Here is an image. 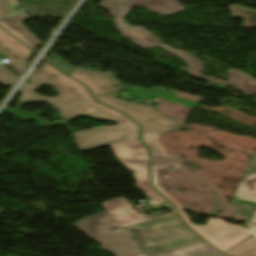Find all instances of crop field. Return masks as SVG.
<instances>
[{"instance_id":"crop-field-1","label":"crop field","mask_w":256,"mask_h":256,"mask_svg":"<svg viewBox=\"0 0 256 256\" xmlns=\"http://www.w3.org/2000/svg\"><path fill=\"white\" fill-rule=\"evenodd\" d=\"M32 83H24L20 103L47 102L59 110L67 121L84 116L93 120H114L120 124L100 126L74 133L75 142L83 151L138 139L137 124L120 112L96 102L88 89L81 83L61 74L47 62L36 69L28 78ZM43 85L58 93L56 99L42 97L32 90Z\"/></svg>"},{"instance_id":"crop-field-2","label":"crop field","mask_w":256,"mask_h":256,"mask_svg":"<svg viewBox=\"0 0 256 256\" xmlns=\"http://www.w3.org/2000/svg\"><path fill=\"white\" fill-rule=\"evenodd\" d=\"M127 232L142 251L151 256L205 241L191 231L178 214L128 228Z\"/></svg>"},{"instance_id":"crop-field-3","label":"crop field","mask_w":256,"mask_h":256,"mask_svg":"<svg viewBox=\"0 0 256 256\" xmlns=\"http://www.w3.org/2000/svg\"><path fill=\"white\" fill-rule=\"evenodd\" d=\"M119 31L141 48L162 46L169 52L178 55L181 59H183L186 63L190 65L189 70L185 72L193 75L195 78L209 81L208 84L213 87L224 89L226 86L231 84L246 95L256 93V80H254L253 77L249 74L238 71L236 69L227 70L229 74V83L212 78L203 77L200 76L198 73L204 70V63L200 62L199 60L193 58L192 56L188 55L187 53L181 50H173L165 45H162L160 40L146 29L142 27H127Z\"/></svg>"},{"instance_id":"crop-field-4","label":"crop field","mask_w":256,"mask_h":256,"mask_svg":"<svg viewBox=\"0 0 256 256\" xmlns=\"http://www.w3.org/2000/svg\"><path fill=\"white\" fill-rule=\"evenodd\" d=\"M87 235L97 240L115 256H139L141 253L135 247L121 226L107 213L88 217L75 224Z\"/></svg>"},{"instance_id":"crop-field-5","label":"crop field","mask_w":256,"mask_h":256,"mask_svg":"<svg viewBox=\"0 0 256 256\" xmlns=\"http://www.w3.org/2000/svg\"><path fill=\"white\" fill-rule=\"evenodd\" d=\"M119 161L130 169L136 180L137 186L144 191L152 200L150 205L155 206L166 203L173 211L174 207L160 196L149 183L148 176V153L139 140L113 145Z\"/></svg>"},{"instance_id":"crop-field-6","label":"crop field","mask_w":256,"mask_h":256,"mask_svg":"<svg viewBox=\"0 0 256 256\" xmlns=\"http://www.w3.org/2000/svg\"><path fill=\"white\" fill-rule=\"evenodd\" d=\"M95 98L119 111L126 113L142 126L143 133H145L144 131H147L149 134L164 135L185 127L161 115L159 112L149 106L121 101L117 99L113 93H108Z\"/></svg>"},{"instance_id":"crop-field-7","label":"crop field","mask_w":256,"mask_h":256,"mask_svg":"<svg viewBox=\"0 0 256 256\" xmlns=\"http://www.w3.org/2000/svg\"><path fill=\"white\" fill-rule=\"evenodd\" d=\"M185 221L197 231L203 238L212 243L218 249L227 251L232 246L252 235L243 226L228 224L223 219L209 218L205 226L193 225L184 211L180 212Z\"/></svg>"},{"instance_id":"crop-field-8","label":"crop field","mask_w":256,"mask_h":256,"mask_svg":"<svg viewBox=\"0 0 256 256\" xmlns=\"http://www.w3.org/2000/svg\"><path fill=\"white\" fill-rule=\"evenodd\" d=\"M142 5L154 12L166 15L185 10L176 0H102L100 6L107 9L115 17L114 24L119 29L127 27L124 17L129 14L132 6Z\"/></svg>"},{"instance_id":"crop-field-9","label":"crop field","mask_w":256,"mask_h":256,"mask_svg":"<svg viewBox=\"0 0 256 256\" xmlns=\"http://www.w3.org/2000/svg\"><path fill=\"white\" fill-rule=\"evenodd\" d=\"M256 256V239L252 235L224 254L208 243L181 249L160 256Z\"/></svg>"},{"instance_id":"crop-field-10","label":"crop field","mask_w":256,"mask_h":256,"mask_svg":"<svg viewBox=\"0 0 256 256\" xmlns=\"http://www.w3.org/2000/svg\"><path fill=\"white\" fill-rule=\"evenodd\" d=\"M142 137L143 141L152 152L151 172L152 182L155 188L157 189L158 192L165 195L177 207L178 210H181L182 207L179 205V203L157 186L155 179V167H179L181 164L182 157L167 155L164 148L161 146L159 142L158 135L143 134Z\"/></svg>"},{"instance_id":"crop-field-11","label":"crop field","mask_w":256,"mask_h":256,"mask_svg":"<svg viewBox=\"0 0 256 256\" xmlns=\"http://www.w3.org/2000/svg\"><path fill=\"white\" fill-rule=\"evenodd\" d=\"M0 53L9 58L6 63L17 75L26 69L30 49L0 28Z\"/></svg>"},{"instance_id":"crop-field-12","label":"crop field","mask_w":256,"mask_h":256,"mask_svg":"<svg viewBox=\"0 0 256 256\" xmlns=\"http://www.w3.org/2000/svg\"><path fill=\"white\" fill-rule=\"evenodd\" d=\"M102 206L122 228L147 220L143 216L136 214L123 197L106 201Z\"/></svg>"},{"instance_id":"crop-field-13","label":"crop field","mask_w":256,"mask_h":256,"mask_svg":"<svg viewBox=\"0 0 256 256\" xmlns=\"http://www.w3.org/2000/svg\"><path fill=\"white\" fill-rule=\"evenodd\" d=\"M29 18H31L29 15L23 13L1 19L0 25L34 50L42 43L21 23Z\"/></svg>"},{"instance_id":"crop-field-14","label":"crop field","mask_w":256,"mask_h":256,"mask_svg":"<svg viewBox=\"0 0 256 256\" xmlns=\"http://www.w3.org/2000/svg\"><path fill=\"white\" fill-rule=\"evenodd\" d=\"M252 160L256 161V155L252 156ZM238 196L251 198L250 202L256 203V174H248L246 179L241 181L233 198L237 199ZM245 225L256 237V223H245Z\"/></svg>"},{"instance_id":"crop-field-15","label":"crop field","mask_w":256,"mask_h":256,"mask_svg":"<svg viewBox=\"0 0 256 256\" xmlns=\"http://www.w3.org/2000/svg\"><path fill=\"white\" fill-rule=\"evenodd\" d=\"M230 11H232V18L241 17L245 19L242 28H256V10L240 5H232Z\"/></svg>"},{"instance_id":"crop-field-16","label":"crop field","mask_w":256,"mask_h":256,"mask_svg":"<svg viewBox=\"0 0 256 256\" xmlns=\"http://www.w3.org/2000/svg\"><path fill=\"white\" fill-rule=\"evenodd\" d=\"M6 112L12 114L13 116L25 121L27 119H31L33 121H35L40 127H52V126H56V125H60L58 123H48L46 121L41 120L38 116L46 114L43 111H36L34 113H26L24 111L18 110V109H11L6 107L5 110Z\"/></svg>"},{"instance_id":"crop-field-17","label":"crop field","mask_w":256,"mask_h":256,"mask_svg":"<svg viewBox=\"0 0 256 256\" xmlns=\"http://www.w3.org/2000/svg\"><path fill=\"white\" fill-rule=\"evenodd\" d=\"M112 86H115V87H112ZM89 89H91L93 91L94 96L105 94V93L109 92L110 90L121 91L120 86L118 85L117 81L114 79H109L100 84L92 86Z\"/></svg>"},{"instance_id":"crop-field-18","label":"crop field","mask_w":256,"mask_h":256,"mask_svg":"<svg viewBox=\"0 0 256 256\" xmlns=\"http://www.w3.org/2000/svg\"><path fill=\"white\" fill-rule=\"evenodd\" d=\"M49 62H51L54 66H56L59 70H61L63 73L71 76V74L74 72L75 67L65 63L60 58H58L56 55L52 53V55L47 58Z\"/></svg>"},{"instance_id":"crop-field-19","label":"crop field","mask_w":256,"mask_h":256,"mask_svg":"<svg viewBox=\"0 0 256 256\" xmlns=\"http://www.w3.org/2000/svg\"><path fill=\"white\" fill-rule=\"evenodd\" d=\"M161 99L173 101V102H176V103H179V104H183V105H186V106H189V107H193V108H196L197 105L199 104L198 102H192V101H187V100H183V99L178 98L175 95L174 91H172V90L166 91L163 94Z\"/></svg>"},{"instance_id":"crop-field-20","label":"crop field","mask_w":256,"mask_h":256,"mask_svg":"<svg viewBox=\"0 0 256 256\" xmlns=\"http://www.w3.org/2000/svg\"><path fill=\"white\" fill-rule=\"evenodd\" d=\"M18 77L12 74L3 66H0V83L6 86H13Z\"/></svg>"},{"instance_id":"crop-field-21","label":"crop field","mask_w":256,"mask_h":256,"mask_svg":"<svg viewBox=\"0 0 256 256\" xmlns=\"http://www.w3.org/2000/svg\"><path fill=\"white\" fill-rule=\"evenodd\" d=\"M100 73V72H98ZM98 73H95V72H88L84 69H80V68H76L75 72L73 73V75L71 77L79 80L80 82L98 74Z\"/></svg>"},{"instance_id":"crop-field-22","label":"crop field","mask_w":256,"mask_h":256,"mask_svg":"<svg viewBox=\"0 0 256 256\" xmlns=\"http://www.w3.org/2000/svg\"><path fill=\"white\" fill-rule=\"evenodd\" d=\"M109 76H110L109 74L103 72V73H101V74H99V75H97V76H95V77H93V78H91V79H89V80L83 82V83H84L87 87H90V86L95 85V84H97V83H99V82H102V81H104V80L109 79V78H108Z\"/></svg>"},{"instance_id":"crop-field-23","label":"crop field","mask_w":256,"mask_h":256,"mask_svg":"<svg viewBox=\"0 0 256 256\" xmlns=\"http://www.w3.org/2000/svg\"><path fill=\"white\" fill-rule=\"evenodd\" d=\"M123 88L127 92H146V93H156V92H160V89L164 90V88L162 87H153L151 88V90H146V89L131 87V86H123Z\"/></svg>"},{"instance_id":"crop-field-24","label":"crop field","mask_w":256,"mask_h":256,"mask_svg":"<svg viewBox=\"0 0 256 256\" xmlns=\"http://www.w3.org/2000/svg\"><path fill=\"white\" fill-rule=\"evenodd\" d=\"M132 98H137L139 100L159 98V94H145V93H127Z\"/></svg>"},{"instance_id":"crop-field-25","label":"crop field","mask_w":256,"mask_h":256,"mask_svg":"<svg viewBox=\"0 0 256 256\" xmlns=\"http://www.w3.org/2000/svg\"><path fill=\"white\" fill-rule=\"evenodd\" d=\"M8 0H0V17L11 14L7 6Z\"/></svg>"},{"instance_id":"crop-field-26","label":"crop field","mask_w":256,"mask_h":256,"mask_svg":"<svg viewBox=\"0 0 256 256\" xmlns=\"http://www.w3.org/2000/svg\"><path fill=\"white\" fill-rule=\"evenodd\" d=\"M250 221H255V222H256V212H255L253 218H252ZM250 221H249V222H250Z\"/></svg>"},{"instance_id":"crop-field-27","label":"crop field","mask_w":256,"mask_h":256,"mask_svg":"<svg viewBox=\"0 0 256 256\" xmlns=\"http://www.w3.org/2000/svg\"><path fill=\"white\" fill-rule=\"evenodd\" d=\"M238 199H240V200H246V201H249L250 199H248V198H243V197H239Z\"/></svg>"},{"instance_id":"crop-field-28","label":"crop field","mask_w":256,"mask_h":256,"mask_svg":"<svg viewBox=\"0 0 256 256\" xmlns=\"http://www.w3.org/2000/svg\"><path fill=\"white\" fill-rule=\"evenodd\" d=\"M142 256H144V255H142Z\"/></svg>"}]
</instances>
